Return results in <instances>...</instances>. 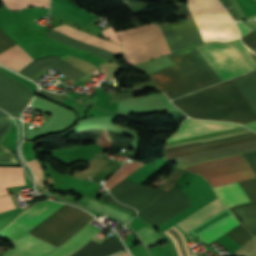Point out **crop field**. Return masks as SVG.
Instances as JSON below:
<instances>
[{
    "instance_id": "8a807250",
    "label": "crop field",
    "mask_w": 256,
    "mask_h": 256,
    "mask_svg": "<svg viewBox=\"0 0 256 256\" xmlns=\"http://www.w3.org/2000/svg\"><path fill=\"white\" fill-rule=\"evenodd\" d=\"M188 7L205 43L239 38L238 28L217 0H189ZM194 19L160 27L172 52L203 44ZM160 28L151 24L118 33L130 66L171 53Z\"/></svg>"
},
{
    "instance_id": "ac0d7876",
    "label": "crop field",
    "mask_w": 256,
    "mask_h": 256,
    "mask_svg": "<svg viewBox=\"0 0 256 256\" xmlns=\"http://www.w3.org/2000/svg\"><path fill=\"white\" fill-rule=\"evenodd\" d=\"M233 45L256 69V62L240 40ZM231 42H212L197 46L198 50L223 81L253 71ZM196 47L167 55L176 65L148 75L170 99L222 82L221 78Z\"/></svg>"
},
{
    "instance_id": "34b2d1b8",
    "label": "crop field",
    "mask_w": 256,
    "mask_h": 256,
    "mask_svg": "<svg viewBox=\"0 0 256 256\" xmlns=\"http://www.w3.org/2000/svg\"><path fill=\"white\" fill-rule=\"evenodd\" d=\"M233 82L256 113V71L233 79ZM232 80L214 85L173 101L192 118L238 122L256 120V114Z\"/></svg>"
},
{
    "instance_id": "412701ff",
    "label": "crop field",
    "mask_w": 256,
    "mask_h": 256,
    "mask_svg": "<svg viewBox=\"0 0 256 256\" xmlns=\"http://www.w3.org/2000/svg\"><path fill=\"white\" fill-rule=\"evenodd\" d=\"M92 220L90 214L65 205L26 234L56 248ZM26 234L11 242L13 248L3 256H43L54 249Z\"/></svg>"
},
{
    "instance_id": "f4fd0767",
    "label": "crop field",
    "mask_w": 256,
    "mask_h": 256,
    "mask_svg": "<svg viewBox=\"0 0 256 256\" xmlns=\"http://www.w3.org/2000/svg\"><path fill=\"white\" fill-rule=\"evenodd\" d=\"M184 192L194 204L213 190L203 178L196 175ZM184 192L176 187L173 188L139 212V217L153 227H158L193 205Z\"/></svg>"
},
{
    "instance_id": "dd49c442",
    "label": "crop field",
    "mask_w": 256,
    "mask_h": 256,
    "mask_svg": "<svg viewBox=\"0 0 256 256\" xmlns=\"http://www.w3.org/2000/svg\"><path fill=\"white\" fill-rule=\"evenodd\" d=\"M241 155L256 173V151ZM241 155L202 162L184 169L203 175L212 187L256 178V174Z\"/></svg>"
},
{
    "instance_id": "e52e79f7",
    "label": "crop field",
    "mask_w": 256,
    "mask_h": 256,
    "mask_svg": "<svg viewBox=\"0 0 256 256\" xmlns=\"http://www.w3.org/2000/svg\"><path fill=\"white\" fill-rule=\"evenodd\" d=\"M91 228L92 227L87 225L79 233H77L72 239H70L67 243L63 244L62 246L58 247L57 249L53 250L52 252H50L49 254H47L45 256H54L55 254L59 253L63 249L72 245L75 241H77L82 235H84ZM98 232H99V230L92 228L83 237H81L77 242H75L72 246L68 247L64 251L57 254L56 256H71L76 251H78L80 248H82L84 245H86L88 242H90L91 239ZM123 249H125V248L121 244V242L111 236L107 240H105L103 243H101L100 245L91 241L90 243H88L86 246H84L82 249H80L78 252H76L72 256H109V255L119 252Z\"/></svg>"
},
{
    "instance_id": "d8731c3e",
    "label": "crop field",
    "mask_w": 256,
    "mask_h": 256,
    "mask_svg": "<svg viewBox=\"0 0 256 256\" xmlns=\"http://www.w3.org/2000/svg\"><path fill=\"white\" fill-rule=\"evenodd\" d=\"M64 204L50 202L49 200L38 203L17 217L4 230L0 236L13 241L17 237L42 222Z\"/></svg>"
},
{
    "instance_id": "5a996713",
    "label": "crop field",
    "mask_w": 256,
    "mask_h": 256,
    "mask_svg": "<svg viewBox=\"0 0 256 256\" xmlns=\"http://www.w3.org/2000/svg\"><path fill=\"white\" fill-rule=\"evenodd\" d=\"M144 187L145 185L125 179L110 192L115 199L123 203ZM163 193H165V191L147 186L132 198L127 200L124 204L134 207L139 212Z\"/></svg>"
},
{
    "instance_id": "3316defc",
    "label": "crop field",
    "mask_w": 256,
    "mask_h": 256,
    "mask_svg": "<svg viewBox=\"0 0 256 256\" xmlns=\"http://www.w3.org/2000/svg\"><path fill=\"white\" fill-rule=\"evenodd\" d=\"M238 224L234 215L225 208L188 231L209 244Z\"/></svg>"
},
{
    "instance_id": "28ad6ade",
    "label": "crop field",
    "mask_w": 256,
    "mask_h": 256,
    "mask_svg": "<svg viewBox=\"0 0 256 256\" xmlns=\"http://www.w3.org/2000/svg\"><path fill=\"white\" fill-rule=\"evenodd\" d=\"M252 150H256V140L191 153L187 155L177 156L173 158H168L167 160H169L170 162L175 161L180 167L183 168L185 166L195 164L198 162Z\"/></svg>"
},
{
    "instance_id": "d1516ede",
    "label": "crop field",
    "mask_w": 256,
    "mask_h": 256,
    "mask_svg": "<svg viewBox=\"0 0 256 256\" xmlns=\"http://www.w3.org/2000/svg\"><path fill=\"white\" fill-rule=\"evenodd\" d=\"M237 127L241 126L235 123L188 119L183 121L178 131L169 137L166 143Z\"/></svg>"
},
{
    "instance_id": "22f410ed",
    "label": "crop field",
    "mask_w": 256,
    "mask_h": 256,
    "mask_svg": "<svg viewBox=\"0 0 256 256\" xmlns=\"http://www.w3.org/2000/svg\"><path fill=\"white\" fill-rule=\"evenodd\" d=\"M252 139H256V133L254 132L242 134L234 137H229L225 139H220L212 142H207L203 144H200V142H197L193 144L166 149L164 150V155L166 158H168L172 156L182 155L186 153L196 152L200 150L210 149L214 147L224 146V145L238 143V142L252 140Z\"/></svg>"
},
{
    "instance_id": "cbeb9de0",
    "label": "crop field",
    "mask_w": 256,
    "mask_h": 256,
    "mask_svg": "<svg viewBox=\"0 0 256 256\" xmlns=\"http://www.w3.org/2000/svg\"><path fill=\"white\" fill-rule=\"evenodd\" d=\"M55 30L62 32L68 36L74 37L76 39L82 40L84 42H87L89 44L95 45L97 47H100L102 49L108 50L110 52L116 53L118 55H120L122 53L121 47L119 45H116L114 43L105 41L103 39L94 37L92 35L83 33L81 31H78L68 25H61L57 28H55Z\"/></svg>"
},
{
    "instance_id": "5142ce71",
    "label": "crop field",
    "mask_w": 256,
    "mask_h": 256,
    "mask_svg": "<svg viewBox=\"0 0 256 256\" xmlns=\"http://www.w3.org/2000/svg\"><path fill=\"white\" fill-rule=\"evenodd\" d=\"M213 189L220 201L227 207L249 201L237 183L215 187Z\"/></svg>"
},
{
    "instance_id": "d9b57169",
    "label": "crop field",
    "mask_w": 256,
    "mask_h": 256,
    "mask_svg": "<svg viewBox=\"0 0 256 256\" xmlns=\"http://www.w3.org/2000/svg\"><path fill=\"white\" fill-rule=\"evenodd\" d=\"M33 59L20 47L15 46L0 54V64L5 65L17 72L23 69Z\"/></svg>"
},
{
    "instance_id": "733c2abd",
    "label": "crop field",
    "mask_w": 256,
    "mask_h": 256,
    "mask_svg": "<svg viewBox=\"0 0 256 256\" xmlns=\"http://www.w3.org/2000/svg\"><path fill=\"white\" fill-rule=\"evenodd\" d=\"M239 221L246 227L253 236H256V202L238 205L230 208Z\"/></svg>"
},
{
    "instance_id": "4a817a6b",
    "label": "crop field",
    "mask_w": 256,
    "mask_h": 256,
    "mask_svg": "<svg viewBox=\"0 0 256 256\" xmlns=\"http://www.w3.org/2000/svg\"><path fill=\"white\" fill-rule=\"evenodd\" d=\"M22 184V167H0V195L7 194V187Z\"/></svg>"
},
{
    "instance_id": "bc2a9ffb",
    "label": "crop field",
    "mask_w": 256,
    "mask_h": 256,
    "mask_svg": "<svg viewBox=\"0 0 256 256\" xmlns=\"http://www.w3.org/2000/svg\"><path fill=\"white\" fill-rule=\"evenodd\" d=\"M223 207L225 206L218 199H215L177 224L185 231Z\"/></svg>"
},
{
    "instance_id": "214f88e0",
    "label": "crop field",
    "mask_w": 256,
    "mask_h": 256,
    "mask_svg": "<svg viewBox=\"0 0 256 256\" xmlns=\"http://www.w3.org/2000/svg\"><path fill=\"white\" fill-rule=\"evenodd\" d=\"M143 164L137 162H131L123 165L105 184L107 189H112L122 180H124L127 176H129L132 172H134L137 168L142 166Z\"/></svg>"
},
{
    "instance_id": "92a150f3",
    "label": "crop field",
    "mask_w": 256,
    "mask_h": 256,
    "mask_svg": "<svg viewBox=\"0 0 256 256\" xmlns=\"http://www.w3.org/2000/svg\"><path fill=\"white\" fill-rule=\"evenodd\" d=\"M164 233L174 241L179 256H191L185 237L178 229L173 226Z\"/></svg>"
},
{
    "instance_id": "dafd665d",
    "label": "crop field",
    "mask_w": 256,
    "mask_h": 256,
    "mask_svg": "<svg viewBox=\"0 0 256 256\" xmlns=\"http://www.w3.org/2000/svg\"><path fill=\"white\" fill-rule=\"evenodd\" d=\"M12 10H21L28 6H43L49 8V0H2Z\"/></svg>"
},
{
    "instance_id": "00972430",
    "label": "crop field",
    "mask_w": 256,
    "mask_h": 256,
    "mask_svg": "<svg viewBox=\"0 0 256 256\" xmlns=\"http://www.w3.org/2000/svg\"><path fill=\"white\" fill-rule=\"evenodd\" d=\"M140 237V239L143 241V243L146 245V247L153 246L160 244L162 242H165L163 237L158 235L156 232L151 230L149 227H144L138 231H136Z\"/></svg>"
},
{
    "instance_id": "a9b5d70f",
    "label": "crop field",
    "mask_w": 256,
    "mask_h": 256,
    "mask_svg": "<svg viewBox=\"0 0 256 256\" xmlns=\"http://www.w3.org/2000/svg\"><path fill=\"white\" fill-rule=\"evenodd\" d=\"M53 69L63 73L76 82L87 75L63 61L56 65Z\"/></svg>"
},
{
    "instance_id": "4177f3b9",
    "label": "crop field",
    "mask_w": 256,
    "mask_h": 256,
    "mask_svg": "<svg viewBox=\"0 0 256 256\" xmlns=\"http://www.w3.org/2000/svg\"><path fill=\"white\" fill-rule=\"evenodd\" d=\"M78 204H82V205H85V206H89V207H92L94 209H97V210H101V211H105L107 213H110V214H114L116 215L117 217L121 218L122 220H126L129 216L115 210V209H112L110 207H107L105 205H102L98 202H95L93 200H87V199H83L81 200ZM102 207H105L104 209H101Z\"/></svg>"
},
{
    "instance_id": "730fd06b",
    "label": "crop field",
    "mask_w": 256,
    "mask_h": 256,
    "mask_svg": "<svg viewBox=\"0 0 256 256\" xmlns=\"http://www.w3.org/2000/svg\"><path fill=\"white\" fill-rule=\"evenodd\" d=\"M229 235L232 239H234L238 244L241 246L246 243L249 239L252 238V236L249 234V232L244 229L241 224L235 227L234 229L230 230L226 233Z\"/></svg>"
},
{
    "instance_id": "eef30255",
    "label": "crop field",
    "mask_w": 256,
    "mask_h": 256,
    "mask_svg": "<svg viewBox=\"0 0 256 256\" xmlns=\"http://www.w3.org/2000/svg\"><path fill=\"white\" fill-rule=\"evenodd\" d=\"M238 183L243 188V190L248 195V197L251 199V201H255L256 200V179L242 181Z\"/></svg>"
},
{
    "instance_id": "ae1a2a85",
    "label": "crop field",
    "mask_w": 256,
    "mask_h": 256,
    "mask_svg": "<svg viewBox=\"0 0 256 256\" xmlns=\"http://www.w3.org/2000/svg\"><path fill=\"white\" fill-rule=\"evenodd\" d=\"M27 163L30 166V168L32 169L36 181L45 188L43 175H42L41 168H40V165H39L37 159L28 161Z\"/></svg>"
},
{
    "instance_id": "d3111659",
    "label": "crop field",
    "mask_w": 256,
    "mask_h": 256,
    "mask_svg": "<svg viewBox=\"0 0 256 256\" xmlns=\"http://www.w3.org/2000/svg\"><path fill=\"white\" fill-rule=\"evenodd\" d=\"M231 255L254 256L252 239Z\"/></svg>"
},
{
    "instance_id": "750c4746",
    "label": "crop field",
    "mask_w": 256,
    "mask_h": 256,
    "mask_svg": "<svg viewBox=\"0 0 256 256\" xmlns=\"http://www.w3.org/2000/svg\"><path fill=\"white\" fill-rule=\"evenodd\" d=\"M17 43L6 36L0 29V53L16 45Z\"/></svg>"
},
{
    "instance_id": "bd1437ed",
    "label": "crop field",
    "mask_w": 256,
    "mask_h": 256,
    "mask_svg": "<svg viewBox=\"0 0 256 256\" xmlns=\"http://www.w3.org/2000/svg\"><path fill=\"white\" fill-rule=\"evenodd\" d=\"M0 161L17 163L12 152L4 145H0Z\"/></svg>"
},
{
    "instance_id": "1d83c4d3",
    "label": "crop field",
    "mask_w": 256,
    "mask_h": 256,
    "mask_svg": "<svg viewBox=\"0 0 256 256\" xmlns=\"http://www.w3.org/2000/svg\"><path fill=\"white\" fill-rule=\"evenodd\" d=\"M243 42L252 50L256 48V31H252L242 38Z\"/></svg>"
},
{
    "instance_id": "120bbe31",
    "label": "crop field",
    "mask_w": 256,
    "mask_h": 256,
    "mask_svg": "<svg viewBox=\"0 0 256 256\" xmlns=\"http://www.w3.org/2000/svg\"><path fill=\"white\" fill-rule=\"evenodd\" d=\"M14 204L10 196L0 197V213L14 208Z\"/></svg>"
},
{
    "instance_id": "d32e631a",
    "label": "crop field",
    "mask_w": 256,
    "mask_h": 256,
    "mask_svg": "<svg viewBox=\"0 0 256 256\" xmlns=\"http://www.w3.org/2000/svg\"><path fill=\"white\" fill-rule=\"evenodd\" d=\"M11 124L8 119H0V143L9 130Z\"/></svg>"
},
{
    "instance_id": "5866460e",
    "label": "crop field",
    "mask_w": 256,
    "mask_h": 256,
    "mask_svg": "<svg viewBox=\"0 0 256 256\" xmlns=\"http://www.w3.org/2000/svg\"><path fill=\"white\" fill-rule=\"evenodd\" d=\"M102 200H104V201H106V202H108V203H110V204H113V205H115V206H117V207H119V208H121V209H123V210H126V211H128V212H130V213H132V214H134V215L136 214V211H135L134 209L117 203V202H116L115 200H113L111 197L105 196L104 198H102ZM102 200H101V201H102ZM104 201H103V202H104Z\"/></svg>"
},
{
    "instance_id": "028f5c9d",
    "label": "crop field",
    "mask_w": 256,
    "mask_h": 256,
    "mask_svg": "<svg viewBox=\"0 0 256 256\" xmlns=\"http://www.w3.org/2000/svg\"><path fill=\"white\" fill-rule=\"evenodd\" d=\"M102 33L105 35V37H107V38H109V39H111V40L121 44L119 39H118V37H117V35L115 34L114 30L112 29V27L102 31Z\"/></svg>"
},
{
    "instance_id": "e1f06a70",
    "label": "crop field",
    "mask_w": 256,
    "mask_h": 256,
    "mask_svg": "<svg viewBox=\"0 0 256 256\" xmlns=\"http://www.w3.org/2000/svg\"><path fill=\"white\" fill-rule=\"evenodd\" d=\"M133 97V93H117L110 96V103L116 100L131 98Z\"/></svg>"
},
{
    "instance_id": "0bd39190",
    "label": "crop field",
    "mask_w": 256,
    "mask_h": 256,
    "mask_svg": "<svg viewBox=\"0 0 256 256\" xmlns=\"http://www.w3.org/2000/svg\"><path fill=\"white\" fill-rule=\"evenodd\" d=\"M236 24L240 28L242 36H244L245 34H247V33H249L250 31L253 30V29H251L249 27H246L243 22H237Z\"/></svg>"
},
{
    "instance_id": "b80d0937",
    "label": "crop field",
    "mask_w": 256,
    "mask_h": 256,
    "mask_svg": "<svg viewBox=\"0 0 256 256\" xmlns=\"http://www.w3.org/2000/svg\"><path fill=\"white\" fill-rule=\"evenodd\" d=\"M245 126L249 127L250 129L256 131V122L245 124Z\"/></svg>"
},
{
    "instance_id": "c035e120",
    "label": "crop field",
    "mask_w": 256,
    "mask_h": 256,
    "mask_svg": "<svg viewBox=\"0 0 256 256\" xmlns=\"http://www.w3.org/2000/svg\"><path fill=\"white\" fill-rule=\"evenodd\" d=\"M118 256H130V255L128 254V252H126V253H123V254L118 255Z\"/></svg>"
},
{
    "instance_id": "c21b1889",
    "label": "crop field",
    "mask_w": 256,
    "mask_h": 256,
    "mask_svg": "<svg viewBox=\"0 0 256 256\" xmlns=\"http://www.w3.org/2000/svg\"><path fill=\"white\" fill-rule=\"evenodd\" d=\"M254 247H255V252H256V237H254Z\"/></svg>"
}]
</instances>
